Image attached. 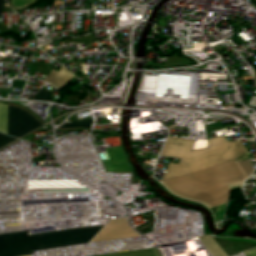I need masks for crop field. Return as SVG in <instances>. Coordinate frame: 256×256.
<instances>
[{"label":"crop field","mask_w":256,"mask_h":256,"mask_svg":"<svg viewBox=\"0 0 256 256\" xmlns=\"http://www.w3.org/2000/svg\"><path fill=\"white\" fill-rule=\"evenodd\" d=\"M208 149L190 152L192 140L169 137L162 156L181 158L179 165L169 163L162 180L203 169L242 157L247 150L240 140L229 142L225 137L208 139ZM245 179L235 160L186 174L162 183L174 194L200 201L209 208L225 203L229 197L226 184Z\"/></svg>","instance_id":"obj_1"},{"label":"crop field","mask_w":256,"mask_h":256,"mask_svg":"<svg viewBox=\"0 0 256 256\" xmlns=\"http://www.w3.org/2000/svg\"><path fill=\"white\" fill-rule=\"evenodd\" d=\"M103 226L27 236L28 231L0 235V256H21L32 251L89 242Z\"/></svg>","instance_id":"obj_2"},{"label":"crop field","mask_w":256,"mask_h":256,"mask_svg":"<svg viewBox=\"0 0 256 256\" xmlns=\"http://www.w3.org/2000/svg\"><path fill=\"white\" fill-rule=\"evenodd\" d=\"M42 125V123L33 118L28 112L15 106H8V135L19 138Z\"/></svg>","instance_id":"obj_3"},{"label":"crop field","mask_w":256,"mask_h":256,"mask_svg":"<svg viewBox=\"0 0 256 256\" xmlns=\"http://www.w3.org/2000/svg\"><path fill=\"white\" fill-rule=\"evenodd\" d=\"M127 224V218L111 220L90 242L101 240L124 239L138 237Z\"/></svg>","instance_id":"obj_4"},{"label":"crop field","mask_w":256,"mask_h":256,"mask_svg":"<svg viewBox=\"0 0 256 256\" xmlns=\"http://www.w3.org/2000/svg\"><path fill=\"white\" fill-rule=\"evenodd\" d=\"M73 77L74 76L70 72L61 66V70L59 72L52 70L44 81L61 89Z\"/></svg>","instance_id":"obj_5"},{"label":"crop field","mask_w":256,"mask_h":256,"mask_svg":"<svg viewBox=\"0 0 256 256\" xmlns=\"http://www.w3.org/2000/svg\"><path fill=\"white\" fill-rule=\"evenodd\" d=\"M199 239L212 256H226L210 235L199 237Z\"/></svg>","instance_id":"obj_6"},{"label":"crop field","mask_w":256,"mask_h":256,"mask_svg":"<svg viewBox=\"0 0 256 256\" xmlns=\"http://www.w3.org/2000/svg\"><path fill=\"white\" fill-rule=\"evenodd\" d=\"M96 256H159V255L156 253L155 248H151V249L119 252V253L96 255Z\"/></svg>","instance_id":"obj_7"},{"label":"crop field","mask_w":256,"mask_h":256,"mask_svg":"<svg viewBox=\"0 0 256 256\" xmlns=\"http://www.w3.org/2000/svg\"><path fill=\"white\" fill-rule=\"evenodd\" d=\"M7 105L0 104V132L6 134Z\"/></svg>","instance_id":"obj_8"},{"label":"crop field","mask_w":256,"mask_h":256,"mask_svg":"<svg viewBox=\"0 0 256 256\" xmlns=\"http://www.w3.org/2000/svg\"><path fill=\"white\" fill-rule=\"evenodd\" d=\"M92 121H93V119L75 121L72 123H66L63 126H61L60 128H79V127L91 128L90 125H91Z\"/></svg>","instance_id":"obj_9"},{"label":"crop field","mask_w":256,"mask_h":256,"mask_svg":"<svg viewBox=\"0 0 256 256\" xmlns=\"http://www.w3.org/2000/svg\"><path fill=\"white\" fill-rule=\"evenodd\" d=\"M239 166L242 168L243 172L246 174L247 178L254 170L251 162L249 160L238 162Z\"/></svg>","instance_id":"obj_10"},{"label":"crop field","mask_w":256,"mask_h":256,"mask_svg":"<svg viewBox=\"0 0 256 256\" xmlns=\"http://www.w3.org/2000/svg\"><path fill=\"white\" fill-rule=\"evenodd\" d=\"M10 2H11L12 7L16 8V7L34 3L35 1L34 0H10Z\"/></svg>","instance_id":"obj_11"},{"label":"crop field","mask_w":256,"mask_h":256,"mask_svg":"<svg viewBox=\"0 0 256 256\" xmlns=\"http://www.w3.org/2000/svg\"><path fill=\"white\" fill-rule=\"evenodd\" d=\"M51 92L41 89L38 95L34 98V100H42V101H50L49 96Z\"/></svg>","instance_id":"obj_12"},{"label":"crop field","mask_w":256,"mask_h":256,"mask_svg":"<svg viewBox=\"0 0 256 256\" xmlns=\"http://www.w3.org/2000/svg\"><path fill=\"white\" fill-rule=\"evenodd\" d=\"M16 138L4 135L0 133V147L4 146L5 144L15 140Z\"/></svg>","instance_id":"obj_13"},{"label":"crop field","mask_w":256,"mask_h":256,"mask_svg":"<svg viewBox=\"0 0 256 256\" xmlns=\"http://www.w3.org/2000/svg\"><path fill=\"white\" fill-rule=\"evenodd\" d=\"M246 256H256V249L245 252Z\"/></svg>","instance_id":"obj_14"},{"label":"crop field","mask_w":256,"mask_h":256,"mask_svg":"<svg viewBox=\"0 0 256 256\" xmlns=\"http://www.w3.org/2000/svg\"><path fill=\"white\" fill-rule=\"evenodd\" d=\"M3 4H7L6 1L5 0H0V14H1Z\"/></svg>","instance_id":"obj_15"}]
</instances>
